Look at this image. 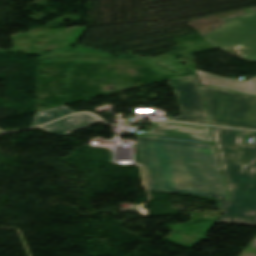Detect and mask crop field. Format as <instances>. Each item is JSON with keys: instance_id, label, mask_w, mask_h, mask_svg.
I'll use <instances>...</instances> for the list:
<instances>
[{"instance_id": "8a807250", "label": "crop field", "mask_w": 256, "mask_h": 256, "mask_svg": "<svg viewBox=\"0 0 256 256\" xmlns=\"http://www.w3.org/2000/svg\"><path fill=\"white\" fill-rule=\"evenodd\" d=\"M147 190L227 198L214 146L137 137Z\"/></svg>"}, {"instance_id": "ac0d7876", "label": "crop field", "mask_w": 256, "mask_h": 256, "mask_svg": "<svg viewBox=\"0 0 256 256\" xmlns=\"http://www.w3.org/2000/svg\"><path fill=\"white\" fill-rule=\"evenodd\" d=\"M211 129L230 198H217L219 222L256 225V146L242 144L248 131Z\"/></svg>"}, {"instance_id": "34b2d1b8", "label": "crop field", "mask_w": 256, "mask_h": 256, "mask_svg": "<svg viewBox=\"0 0 256 256\" xmlns=\"http://www.w3.org/2000/svg\"><path fill=\"white\" fill-rule=\"evenodd\" d=\"M201 88L211 125L256 130V97Z\"/></svg>"}, {"instance_id": "412701ff", "label": "crop field", "mask_w": 256, "mask_h": 256, "mask_svg": "<svg viewBox=\"0 0 256 256\" xmlns=\"http://www.w3.org/2000/svg\"><path fill=\"white\" fill-rule=\"evenodd\" d=\"M204 38L217 47L236 48L244 58L256 60V11L229 20Z\"/></svg>"}, {"instance_id": "f4fd0767", "label": "crop field", "mask_w": 256, "mask_h": 256, "mask_svg": "<svg viewBox=\"0 0 256 256\" xmlns=\"http://www.w3.org/2000/svg\"><path fill=\"white\" fill-rule=\"evenodd\" d=\"M168 82L176 92L182 113L171 120L208 124L196 76L181 77Z\"/></svg>"}, {"instance_id": "dd49c442", "label": "crop field", "mask_w": 256, "mask_h": 256, "mask_svg": "<svg viewBox=\"0 0 256 256\" xmlns=\"http://www.w3.org/2000/svg\"><path fill=\"white\" fill-rule=\"evenodd\" d=\"M140 137L149 138H174L184 140L200 141V143L213 144L209 127L190 125V124H179L169 122H153V130L138 134Z\"/></svg>"}, {"instance_id": "e52e79f7", "label": "crop field", "mask_w": 256, "mask_h": 256, "mask_svg": "<svg viewBox=\"0 0 256 256\" xmlns=\"http://www.w3.org/2000/svg\"><path fill=\"white\" fill-rule=\"evenodd\" d=\"M199 83L202 85L214 86L229 89L236 92L256 95V77L250 81H238L227 78L218 77L212 74L200 72L196 70Z\"/></svg>"}, {"instance_id": "d8731c3e", "label": "crop field", "mask_w": 256, "mask_h": 256, "mask_svg": "<svg viewBox=\"0 0 256 256\" xmlns=\"http://www.w3.org/2000/svg\"><path fill=\"white\" fill-rule=\"evenodd\" d=\"M98 122L101 121L92 115L76 114L37 129L59 136Z\"/></svg>"}, {"instance_id": "5a996713", "label": "crop field", "mask_w": 256, "mask_h": 256, "mask_svg": "<svg viewBox=\"0 0 256 256\" xmlns=\"http://www.w3.org/2000/svg\"><path fill=\"white\" fill-rule=\"evenodd\" d=\"M70 113H74V111L65 106L38 112L35 114L31 127L55 120Z\"/></svg>"}, {"instance_id": "3316defc", "label": "crop field", "mask_w": 256, "mask_h": 256, "mask_svg": "<svg viewBox=\"0 0 256 256\" xmlns=\"http://www.w3.org/2000/svg\"><path fill=\"white\" fill-rule=\"evenodd\" d=\"M249 246L256 249V238L252 241V243Z\"/></svg>"}]
</instances>
